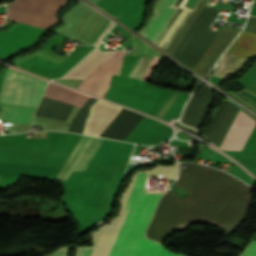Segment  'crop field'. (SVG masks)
<instances>
[{
	"mask_svg": "<svg viewBox=\"0 0 256 256\" xmlns=\"http://www.w3.org/2000/svg\"><path fill=\"white\" fill-rule=\"evenodd\" d=\"M240 81L256 84V73L248 71V73Z\"/></svg>",
	"mask_w": 256,
	"mask_h": 256,
	"instance_id": "733c2abd",
	"label": "crop field"
},
{
	"mask_svg": "<svg viewBox=\"0 0 256 256\" xmlns=\"http://www.w3.org/2000/svg\"><path fill=\"white\" fill-rule=\"evenodd\" d=\"M68 0H16L8 5L7 19L49 28L58 22L57 12ZM18 22L7 32H0V58L6 60L11 54L35 44L45 29Z\"/></svg>",
	"mask_w": 256,
	"mask_h": 256,
	"instance_id": "34b2d1b8",
	"label": "crop field"
},
{
	"mask_svg": "<svg viewBox=\"0 0 256 256\" xmlns=\"http://www.w3.org/2000/svg\"><path fill=\"white\" fill-rule=\"evenodd\" d=\"M243 34L256 36V18L249 17L246 27L242 31ZM240 34L231 47L226 51L228 54L240 56L256 55V38ZM247 58L224 54L220 67L213 74L215 77L225 78L226 74H230L240 68Z\"/></svg>",
	"mask_w": 256,
	"mask_h": 256,
	"instance_id": "dd49c442",
	"label": "crop field"
},
{
	"mask_svg": "<svg viewBox=\"0 0 256 256\" xmlns=\"http://www.w3.org/2000/svg\"><path fill=\"white\" fill-rule=\"evenodd\" d=\"M218 13V10L204 7L172 57L193 70L217 35L208 29Z\"/></svg>",
	"mask_w": 256,
	"mask_h": 256,
	"instance_id": "412701ff",
	"label": "crop field"
},
{
	"mask_svg": "<svg viewBox=\"0 0 256 256\" xmlns=\"http://www.w3.org/2000/svg\"><path fill=\"white\" fill-rule=\"evenodd\" d=\"M124 56L125 53L123 50H116L82 80L78 89L104 97L109 88V81L112 74L119 75L120 65Z\"/></svg>",
	"mask_w": 256,
	"mask_h": 256,
	"instance_id": "e52e79f7",
	"label": "crop field"
},
{
	"mask_svg": "<svg viewBox=\"0 0 256 256\" xmlns=\"http://www.w3.org/2000/svg\"><path fill=\"white\" fill-rule=\"evenodd\" d=\"M177 178L178 163L137 173L125 190L119 217L93 233L92 256H181L144 237L146 226L165 191L146 190V178Z\"/></svg>",
	"mask_w": 256,
	"mask_h": 256,
	"instance_id": "ac0d7876",
	"label": "crop field"
},
{
	"mask_svg": "<svg viewBox=\"0 0 256 256\" xmlns=\"http://www.w3.org/2000/svg\"><path fill=\"white\" fill-rule=\"evenodd\" d=\"M256 121L239 111L222 146L223 150H241Z\"/></svg>",
	"mask_w": 256,
	"mask_h": 256,
	"instance_id": "3316defc",
	"label": "crop field"
},
{
	"mask_svg": "<svg viewBox=\"0 0 256 256\" xmlns=\"http://www.w3.org/2000/svg\"><path fill=\"white\" fill-rule=\"evenodd\" d=\"M25 76L6 69L0 92V103L20 105V93ZM45 86L46 82L36 80L27 75L21 93V105L37 107Z\"/></svg>",
	"mask_w": 256,
	"mask_h": 256,
	"instance_id": "f4fd0767",
	"label": "crop field"
},
{
	"mask_svg": "<svg viewBox=\"0 0 256 256\" xmlns=\"http://www.w3.org/2000/svg\"><path fill=\"white\" fill-rule=\"evenodd\" d=\"M206 2H207V0L200 1L197 8L195 10H193V12L187 19L186 23L184 24V26L182 27V29L180 30V32L178 33V35L176 36V38L174 39L173 43L171 44V46L169 47V49L167 50L166 53H168L169 55L172 56L175 49L177 48V46L179 45V43L181 42V40L183 39V37L185 36L187 31L189 30L190 26L192 25V23L194 22V20L196 19V17L202 10V8L205 6Z\"/></svg>",
	"mask_w": 256,
	"mask_h": 256,
	"instance_id": "22f410ed",
	"label": "crop field"
},
{
	"mask_svg": "<svg viewBox=\"0 0 256 256\" xmlns=\"http://www.w3.org/2000/svg\"><path fill=\"white\" fill-rule=\"evenodd\" d=\"M131 146L130 144L102 140L85 170L123 164Z\"/></svg>",
	"mask_w": 256,
	"mask_h": 256,
	"instance_id": "d8731c3e",
	"label": "crop field"
},
{
	"mask_svg": "<svg viewBox=\"0 0 256 256\" xmlns=\"http://www.w3.org/2000/svg\"><path fill=\"white\" fill-rule=\"evenodd\" d=\"M1 106L4 109L2 121L7 122L30 123L35 110L31 108Z\"/></svg>",
	"mask_w": 256,
	"mask_h": 256,
	"instance_id": "d1516ede",
	"label": "crop field"
},
{
	"mask_svg": "<svg viewBox=\"0 0 256 256\" xmlns=\"http://www.w3.org/2000/svg\"><path fill=\"white\" fill-rule=\"evenodd\" d=\"M245 250L256 252V242L255 241L250 242Z\"/></svg>",
	"mask_w": 256,
	"mask_h": 256,
	"instance_id": "214f88e0",
	"label": "crop field"
},
{
	"mask_svg": "<svg viewBox=\"0 0 256 256\" xmlns=\"http://www.w3.org/2000/svg\"><path fill=\"white\" fill-rule=\"evenodd\" d=\"M154 57L140 56L129 77L141 79Z\"/></svg>",
	"mask_w": 256,
	"mask_h": 256,
	"instance_id": "cbeb9de0",
	"label": "crop field"
},
{
	"mask_svg": "<svg viewBox=\"0 0 256 256\" xmlns=\"http://www.w3.org/2000/svg\"><path fill=\"white\" fill-rule=\"evenodd\" d=\"M5 12V6L0 7V13Z\"/></svg>",
	"mask_w": 256,
	"mask_h": 256,
	"instance_id": "dafd665d",
	"label": "crop field"
},
{
	"mask_svg": "<svg viewBox=\"0 0 256 256\" xmlns=\"http://www.w3.org/2000/svg\"><path fill=\"white\" fill-rule=\"evenodd\" d=\"M231 176L188 164L172 184L187 190L189 195L181 199L175 192L167 191L157 205L146 237L162 243L176 226L194 222L217 224L229 232L239 227L253 204L252 188Z\"/></svg>",
	"mask_w": 256,
	"mask_h": 256,
	"instance_id": "8a807250",
	"label": "crop field"
},
{
	"mask_svg": "<svg viewBox=\"0 0 256 256\" xmlns=\"http://www.w3.org/2000/svg\"><path fill=\"white\" fill-rule=\"evenodd\" d=\"M70 247H64L49 256H66Z\"/></svg>",
	"mask_w": 256,
	"mask_h": 256,
	"instance_id": "bc2a9ffb",
	"label": "crop field"
},
{
	"mask_svg": "<svg viewBox=\"0 0 256 256\" xmlns=\"http://www.w3.org/2000/svg\"><path fill=\"white\" fill-rule=\"evenodd\" d=\"M239 31L222 27L193 71L203 75L227 48Z\"/></svg>",
	"mask_w": 256,
	"mask_h": 256,
	"instance_id": "5a996713",
	"label": "crop field"
},
{
	"mask_svg": "<svg viewBox=\"0 0 256 256\" xmlns=\"http://www.w3.org/2000/svg\"><path fill=\"white\" fill-rule=\"evenodd\" d=\"M45 97L73 104L79 107H81L89 99V97L85 95L53 85L51 83L48 84Z\"/></svg>",
	"mask_w": 256,
	"mask_h": 256,
	"instance_id": "28ad6ade",
	"label": "crop field"
},
{
	"mask_svg": "<svg viewBox=\"0 0 256 256\" xmlns=\"http://www.w3.org/2000/svg\"><path fill=\"white\" fill-rule=\"evenodd\" d=\"M93 247H81L78 248L77 256H91V251Z\"/></svg>",
	"mask_w": 256,
	"mask_h": 256,
	"instance_id": "4a817a6b",
	"label": "crop field"
},
{
	"mask_svg": "<svg viewBox=\"0 0 256 256\" xmlns=\"http://www.w3.org/2000/svg\"><path fill=\"white\" fill-rule=\"evenodd\" d=\"M2 113H0V117H1Z\"/></svg>",
	"mask_w": 256,
	"mask_h": 256,
	"instance_id": "00972430",
	"label": "crop field"
},
{
	"mask_svg": "<svg viewBox=\"0 0 256 256\" xmlns=\"http://www.w3.org/2000/svg\"><path fill=\"white\" fill-rule=\"evenodd\" d=\"M132 36V45H133V55H139L140 53L143 54H150V55H159L155 50H153L151 47H149L147 44H145L143 41H141L139 38Z\"/></svg>",
	"mask_w": 256,
	"mask_h": 256,
	"instance_id": "5142ce71",
	"label": "crop field"
},
{
	"mask_svg": "<svg viewBox=\"0 0 256 256\" xmlns=\"http://www.w3.org/2000/svg\"><path fill=\"white\" fill-rule=\"evenodd\" d=\"M241 256H256V253L244 251Z\"/></svg>",
	"mask_w": 256,
	"mask_h": 256,
	"instance_id": "92a150f3",
	"label": "crop field"
},
{
	"mask_svg": "<svg viewBox=\"0 0 256 256\" xmlns=\"http://www.w3.org/2000/svg\"><path fill=\"white\" fill-rule=\"evenodd\" d=\"M160 58L158 57H155V59L153 60V62L151 63V65L149 66L148 70L146 71V73L144 74V76L142 77V80L144 81H148L149 77H150V74H151V71H152V68L155 67L158 62H159Z\"/></svg>",
	"mask_w": 256,
	"mask_h": 256,
	"instance_id": "d9b57169",
	"label": "crop field"
}]
</instances>
